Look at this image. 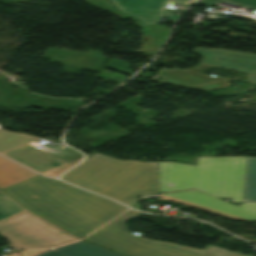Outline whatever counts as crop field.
Listing matches in <instances>:
<instances>
[{"label": "crop field", "instance_id": "crop-field-1", "mask_svg": "<svg viewBox=\"0 0 256 256\" xmlns=\"http://www.w3.org/2000/svg\"><path fill=\"white\" fill-rule=\"evenodd\" d=\"M3 190L36 215L80 238L127 209L110 200L42 176ZM82 229L86 232L80 234Z\"/></svg>", "mask_w": 256, "mask_h": 256}, {"label": "crop field", "instance_id": "crop-field-2", "mask_svg": "<svg viewBox=\"0 0 256 256\" xmlns=\"http://www.w3.org/2000/svg\"><path fill=\"white\" fill-rule=\"evenodd\" d=\"M62 179L125 205L141 194L159 193L157 162L119 161L98 153Z\"/></svg>", "mask_w": 256, "mask_h": 256}, {"label": "crop field", "instance_id": "crop-field-3", "mask_svg": "<svg viewBox=\"0 0 256 256\" xmlns=\"http://www.w3.org/2000/svg\"><path fill=\"white\" fill-rule=\"evenodd\" d=\"M246 157H198L197 166L158 162L160 192L193 189L242 202Z\"/></svg>", "mask_w": 256, "mask_h": 256}, {"label": "crop field", "instance_id": "crop-field-4", "mask_svg": "<svg viewBox=\"0 0 256 256\" xmlns=\"http://www.w3.org/2000/svg\"><path fill=\"white\" fill-rule=\"evenodd\" d=\"M139 213L129 210L84 240L127 256H247L210 245L199 250L140 238L126 227L127 221Z\"/></svg>", "mask_w": 256, "mask_h": 256}, {"label": "crop field", "instance_id": "crop-field-5", "mask_svg": "<svg viewBox=\"0 0 256 256\" xmlns=\"http://www.w3.org/2000/svg\"><path fill=\"white\" fill-rule=\"evenodd\" d=\"M0 233L19 249L54 247L78 240L27 211L1 221Z\"/></svg>", "mask_w": 256, "mask_h": 256}, {"label": "crop field", "instance_id": "crop-field-6", "mask_svg": "<svg viewBox=\"0 0 256 256\" xmlns=\"http://www.w3.org/2000/svg\"><path fill=\"white\" fill-rule=\"evenodd\" d=\"M115 7L130 16L141 20V26L156 25L166 16L176 20L179 16L172 14L174 10L164 8L169 1L189 6L193 0H111Z\"/></svg>", "mask_w": 256, "mask_h": 256}, {"label": "crop field", "instance_id": "crop-field-7", "mask_svg": "<svg viewBox=\"0 0 256 256\" xmlns=\"http://www.w3.org/2000/svg\"><path fill=\"white\" fill-rule=\"evenodd\" d=\"M192 52L203 57L201 64L214 65L243 72L247 74V82L256 84V54L216 48H198Z\"/></svg>", "mask_w": 256, "mask_h": 256}, {"label": "crop field", "instance_id": "crop-field-8", "mask_svg": "<svg viewBox=\"0 0 256 256\" xmlns=\"http://www.w3.org/2000/svg\"><path fill=\"white\" fill-rule=\"evenodd\" d=\"M207 67L209 66L199 65L198 68H190L185 70H168L164 68L160 73L157 74V76L162 77L164 79L162 81L152 79V81L183 87L187 89L203 91L230 85L228 80H224L219 77L213 78L199 74Z\"/></svg>", "mask_w": 256, "mask_h": 256}, {"label": "crop field", "instance_id": "crop-field-9", "mask_svg": "<svg viewBox=\"0 0 256 256\" xmlns=\"http://www.w3.org/2000/svg\"><path fill=\"white\" fill-rule=\"evenodd\" d=\"M167 196H171L247 220H256V203H243L236 207L234 205L200 194L195 191L167 194Z\"/></svg>", "mask_w": 256, "mask_h": 256}, {"label": "crop field", "instance_id": "crop-field-10", "mask_svg": "<svg viewBox=\"0 0 256 256\" xmlns=\"http://www.w3.org/2000/svg\"><path fill=\"white\" fill-rule=\"evenodd\" d=\"M2 154L41 174L66 164L28 144Z\"/></svg>", "mask_w": 256, "mask_h": 256}, {"label": "crop field", "instance_id": "crop-field-11", "mask_svg": "<svg viewBox=\"0 0 256 256\" xmlns=\"http://www.w3.org/2000/svg\"><path fill=\"white\" fill-rule=\"evenodd\" d=\"M35 256H121L80 241L56 249H47Z\"/></svg>", "mask_w": 256, "mask_h": 256}, {"label": "crop field", "instance_id": "crop-field-12", "mask_svg": "<svg viewBox=\"0 0 256 256\" xmlns=\"http://www.w3.org/2000/svg\"><path fill=\"white\" fill-rule=\"evenodd\" d=\"M38 176L22 166L0 156V188Z\"/></svg>", "mask_w": 256, "mask_h": 256}, {"label": "crop field", "instance_id": "crop-field-13", "mask_svg": "<svg viewBox=\"0 0 256 256\" xmlns=\"http://www.w3.org/2000/svg\"><path fill=\"white\" fill-rule=\"evenodd\" d=\"M243 202H256V157H247Z\"/></svg>", "mask_w": 256, "mask_h": 256}, {"label": "crop field", "instance_id": "crop-field-14", "mask_svg": "<svg viewBox=\"0 0 256 256\" xmlns=\"http://www.w3.org/2000/svg\"><path fill=\"white\" fill-rule=\"evenodd\" d=\"M37 139L39 138L0 129V153Z\"/></svg>", "mask_w": 256, "mask_h": 256}, {"label": "crop field", "instance_id": "crop-field-15", "mask_svg": "<svg viewBox=\"0 0 256 256\" xmlns=\"http://www.w3.org/2000/svg\"><path fill=\"white\" fill-rule=\"evenodd\" d=\"M23 211L25 209L0 191V221Z\"/></svg>", "mask_w": 256, "mask_h": 256}, {"label": "crop field", "instance_id": "crop-field-16", "mask_svg": "<svg viewBox=\"0 0 256 256\" xmlns=\"http://www.w3.org/2000/svg\"><path fill=\"white\" fill-rule=\"evenodd\" d=\"M218 2H224V3H229L233 5L255 9L253 11V14L256 15V0H198L195 4L216 5Z\"/></svg>", "mask_w": 256, "mask_h": 256}, {"label": "crop field", "instance_id": "crop-field-17", "mask_svg": "<svg viewBox=\"0 0 256 256\" xmlns=\"http://www.w3.org/2000/svg\"><path fill=\"white\" fill-rule=\"evenodd\" d=\"M45 249H40V250H30V251H24L23 253H21L23 256H32L34 254H37L41 251H43ZM7 256H14V255H7Z\"/></svg>", "mask_w": 256, "mask_h": 256}, {"label": "crop field", "instance_id": "crop-field-18", "mask_svg": "<svg viewBox=\"0 0 256 256\" xmlns=\"http://www.w3.org/2000/svg\"><path fill=\"white\" fill-rule=\"evenodd\" d=\"M81 233L85 232L84 230L80 231Z\"/></svg>", "mask_w": 256, "mask_h": 256}]
</instances>
